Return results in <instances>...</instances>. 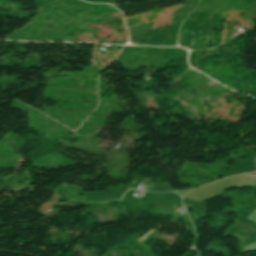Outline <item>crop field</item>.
I'll return each instance as SVG.
<instances>
[{
	"mask_svg": "<svg viewBox=\"0 0 256 256\" xmlns=\"http://www.w3.org/2000/svg\"><path fill=\"white\" fill-rule=\"evenodd\" d=\"M255 245H256V243H254V244H252V245H250V246L244 248V250H246V249H248V248H251V247H253V246H255Z\"/></svg>",
	"mask_w": 256,
	"mask_h": 256,
	"instance_id": "crop-field-1",
	"label": "crop field"
}]
</instances>
